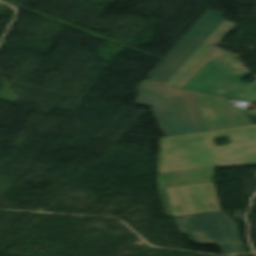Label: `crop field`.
Returning <instances> with one entry per match:
<instances>
[{"mask_svg":"<svg viewBox=\"0 0 256 256\" xmlns=\"http://www.w3.org/2000/svg\"><path fill=\"white\" fill-rule=\"evenodd\" d=\"M223 136L231 145L216 147L214 138ZM252 164H256V125L162 138L160 173Z\"/></svg>","mask_w":256,"mask_h":256,"instance_id":"8a807250","label":"crop field"},{"mask_svg":"<svg viewBox=\"0 0 256 256\" xmlns=\"http://www.w3.org/2000/svg\"><path fill=\"white\" fill-rule=\"evenodd\" d=\"M152 110L167 136L237 126L226 99L175 88Z\"/></svg>","mask_w":256,"mask_h":256,"instance_id":"ac0d7876","label":"crop field"},{"mask_svg":"<svg viewBox=\"0 0 256 256\" xmlns=\"http://www.w3.org/2000/svg\"><path fill=\"white\" fill-rule=\"evenodd\" d=\"M236 25L209 10L149 75L152 82L175 87Z\"/></svg>","mask_w":256,"mask_h":256,"instance_id":"34b2d1b8","label":"crop field"},{"mask_svg":"<svg viewBox=\"0 0 256 256\" xmlns=\"http://www.w3.org/2000/svg\"><path fill=\"white\" fill-rule=\"evenodd\" d=\"M173 218L196 244H219L224 254L245 252L234 221L224 211Z\"/></svg>","mask_w":256,"mask_h":256,"instance_id":"412701ff","label":"crop field"},{"mask_svg":"<svg viewBox=\"0 0 256 256\" xmlns=\"http://www.w3.org/2000/svg\"><path fill=\"white\" fill-rule=\"evenodd\" d=\"M183 88L256 102V86L244 84L214 61H211Z\"/></svg>","mask_w":256,"mask_h":256,"instance_id":"f4fd0767","label":"crop field"},{"mask_svg":"<svg viewBox=\"0 0 256 256\" xmlns=\"http://www.w3.org/2000/svg\"><path fill=\"white\" fill-rule=\"evenodd\" d=\"M159 191L169 217L221 210L212 183Z\"/></svg>","mask_w":256,"mask_h":256,"instance_id":"dd49c442","label":"crop field"},{"mask_svg":"<svg viewBox=\"0 0 256 256\" xmlns=\"http://www.w3.org/2000/svg\"><path fill=\"white\" fill-rule=\"evenodd\" d=\"M214 167L159 174L158 189L212 182Z\"/></svg>","mask_w":256,"mask_h":256,"instance_id":"e52e79f7","label":"crop field"},{"mask_svg":"<svg viewBox=\"0 0 256 256\" xmlns=\"http://www.w3.org/2000/svg\"><path fill=\"white\" fill-rule=\"evenodd\" d=\"M172 88L143 81L137 89L140 93L137 104L155 107Z\"/></svg>","mask_w":256,"mask_h":256,"instance_id":"d8731c3e","label":"crop field"},{"mask_svg":"<svg viewBox=\"0 0 256 256\" xmlns=\"http://www.w3.org/2000/svg\"><path fill=\"white\" fill-rule=\"evenodd\" d=\"M221 48L215 47L194 69H192L185 78L176 86L182 88L187 82H189L199 71H201L211 60L216 61L222 54Z\"/></svg>","mask_w":256,"mask_h":256,"instance_id":"5a996713","label":"crop field"},{"mask_svg":"<svg viewBox=\"0 0 256 256\" xmlns=\"http://www.w3.org/2000/svg\"><path fill=\"white\" fill-rule=\"evenodd\" d=\"M240 55L224 53L217 62L226 68L233 75L247 70V68L237 59Z\"/></svg>","mask_w":256,"mask_h":256,"instance_id":"3316defc","label":"crop field"},{"mask_svg":"<svg viewBox=\"0 0 256 256\" xmlns=\"http://www.w3.org/2000/svg\"><path fill=\"white\" fill-rule=\"evenodd\" d=\"M231 109H232V112H233V115L235 117L237 125L238 126L246 125L245 122H244V119H243V117L241 115L240 110L238 108L235 109V107H231Z\"/></svg>","mask_w":256,"mask_h":256,"instance_id":"28ad6ade","label":"crop field"},{"mask_svg":"<svg viewBox=\"0 0 256 256\" xmlns=\"http://www.w3.org/2000/svg\"><path fill=\"white\" fill-rule=\"evenodd\" d=\"M253 73H255V72L247 70V71L241 72L239 74H236L235 76L238 77L239 79H241V78H245Z\"/></svg>","mask_w":256,"mask_h":256,"instance_id":"d1516ede","label":"crop field"}]
</instances>
